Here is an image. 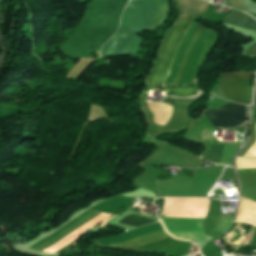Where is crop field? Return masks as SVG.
Masks as SVG:
<instances>
[{"label": "crop field", "instance_id": "obj_15", "mask_svg": "<svg viewBox=\"0 0 256 256\" xmlns=\"http://www.w3.org/2000/svg\"><path fill=\"white\" fill-rule=\"evenodd\" d=\"M254 17H256V15L255 14H252Z\"/></svg>", "mask_w": 256, "mask_h": 256}, {"label": "crop field", "instance_id": "obj_11", "mask_svg": "<svg viewBox=\"0 0 256 256\" xmlns=\"http://www.w3.org/2000/svg\"><path fill=\"white\" fill-rule=\"evenodd\" d=\"M170 92L181 94V95H190L195 93L193 88H170Z\"/></svg>", "mask_w": 256, "mask_h": 256}, {"label": "crop field", "instance_id": "obj_16", "mask_svg": "<svg viewBox=\"0 0 256 256\" xmlns=\"http://www.w3.org/2000/svg\"><path fill=\"white\" fill-rule=\"evenodd\" d=\"M165 216V215H164Z\"/></svg>", "mask_w": 256, "mask_h": 256}, {"label": "crop field", "instance_id": "obj_9", "mask_svg": "<svg viewBox=\"0 0 256 256\" xmlns=\"http://www.w3.org/2000/svg\"><path fill=\"white\" fill-rule=\"evenodd\" d=\"M203 31V28H201L200 26H198L196 32L194 33V35L192 36V38L190 39L186 49H185V52H184V55H183V58H182V61L180 63V66L178 68V71L176 73V76L174 78V81L172 84H175V85H178L180 80H181V76H182V73L184 71V68L186 66V63H187V59H188V55H189V52L191 50V48L193 47V45L195 44L196 40L198 39V37L200 36L201 32ZM193 49V48H192ZM192 51V50H191ZM191 53V52H190Z\"/></svg>", "mask_w": 256, "mask_h": 256}, {"label": "crop field", "instance_id": "obj_13", "mask_svg": "<svg viewBox=\"0 0 256 256\" xmlns=\"http://www.w3.org/2000/svg\"><path fill=\"white\" fill-rule=\"evenodd\" d=\"M245 53L256 56V43L253 44Z\"/></svg>", "mask_w": 256, "mask_h": 256}, {"label": "crop field", "instance_id": "obj_4", "mask_svg": "<svg viewBox=\"0 0 256 256\" xmlns=\"http://www.w3.org/2000/svg\"><path fill=\"white\" fill-rule=\"evenodd\" d=\"M215 127L233 128L242 124L246 118V106L227 103L222 108L205 112Z\"/></svg>", "mask_w": 256, "mask_h": 256}, {"label": "crop field", "instance_id": "obj_2", "mask_svg": "<svg viewBox=\"0 0 256 256\" xmlns=\"http://www.w3.org/2000/svg\"><path fill=\"white\" fill-rule=\"evenodd\" d=\"M191 20L187 19H180L178 25L176 26L175 30L173 31L166 47L164 53L162 55L161 61L159 63L158 69L153 76V80L151 83L150 89H154L156 86H160L163 84L164 79L167 75L169 67L171 65L172 59L176 52L179 42L181 41L182 37L186 33Z\"/></svg>", "mask_w": 256, "mask_h": 256}, {"label": "crop field", "instance_id": "obj_14", "mask_svg": "<svg viewBox=\"0 0 256 256\" xmlns=\"http://www.w3.org/2000/svg\"><path fill=\"white\" fill-rule=\"evenodd\" d=\"M253 104H256V90H255V96H254V102Z\"/></svg>", "mask_w": 256, "mask_h": 256}, {"label": "crop field", "instance_id": "obj_7", "mask_svg": "<svg viewBox=\"0 0 256 256\" xmlns=\"http://www.w3.org/2000/svg\"><path fill=\"white\" fill-rule=\"evenodd\" d=\"M149 107L154 115V122L166 125L173 111V106L163 102H149Z\"/></svg>", "mask_w": 256, "mask_h": 256}, {"label": "crop field", "instance_id": "obj_1", "mask_svg": "<svg viewBox=\"0 0 256 256\" xmlns=\"http://www.w3.org/2000/svg\"><path fill=\"white\" fill-rule=\"evenodd\" d=\"M168 3V0H129L122 15L119 31L117 30L118 32L102 47L101 54H134L143 40L136 34L142 29L154 31L164 23L170 13Z\"/></svg>", "mask_w": 256, "mask_h": 256}, {"label": "crop field", "instance_id": "obj_6", "mask_svg": "<svg viewBox=\"0 0 256 256\" xmlns=\"http://www.w3.org/2000/svg\"><path fill=\"white\" fill-rule=\"evenodd\" d=\"M167 236L168 235L164 232V230L154 231V232L145 234L141 237L129 239L122 243L113 244L110 246L137 247L140 245H144V244H148V243H152L155 241L166 239Z\"/></svg>", "mask_w": 256, "mask_h": 256}, {"label": "crop field", "instance_id": "obj_5", "mask_svg": "<svg viewBox=\"0 0 256 256\" xmlns=\"http://www.w3.org/2000/svg\"><path fill=\"white\" fill-rule=\"evenodd\" d=\"M167 228H202L203 219H175L161 218ZM176 237L187 238L190 240H205L203 229H167Z\"/></svg>", "mask_w": 256, "mask_h": 256}, {"label": "crop field", "instance_id": "obj_12", "mask_svg": "<svg viewBox=\"0 0 256 256\" xmlns=\"http://www.w3.org/2000/svg\"><path fill=\"white\" fill-rule=\"evenodd\" d=\"M241 174H245L251 178L256 179V169H248V170H239Z\"/></svg>", "mask_w": 256, "mask_h": 256}, {"label": "crop field", "instance_id": "obj_10", "mask_svg": "<svg viewBox=\"0 0 256 256\" xmlns=\"http://www.w3.org/2000/svg\"><path fill=\"white\" fill-rule=\"evenodd\" d=\"M154 222L155 221L151 219L144 218L135 214L129 215L128 217L119 221V223L131 225L135 227L143 226V225L154 223Z\"/></svg>", "mask_w": 256, "mask_h": 256}, {"label": "crop field", "instance_id": "obj_3", "mask_svg": "<svg viewBox=\"0 0 256 256\" xmlns=\"http://www.w3.org/2000/svg\"><path fill=\"white\" fill-rule=\"evenodd\" d=\"M251 76L252 73H221L223 94L236 102L249 104Z\"/></svg>", "mask_w": 256, "mask_h": 256}, {"label": "crop field", "instance_id": "obj_8", "mask_svg": "<svg viewBox=\"0 0 256 256\" xmlns=\"http://www.w3.org/2000/svg\"><path fill=\"white\" fill-rule=\"evenodd\" d=\"M224 23L234 26H241L246 29L256 30V22L249 16L238 14L232 11L224 20Z\"/></svg>", "mask_w": 256, "mask_h": 256}]
</instances>
